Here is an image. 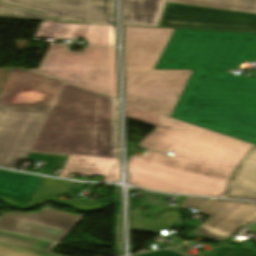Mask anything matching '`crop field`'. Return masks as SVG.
<instances>
[{
    "mask_svg": "<svg viewBox=\"0 0 256 256\" xmlns=\"http://www.w3.org/2000/svg\"><path fill=\"white\" fill-rule=\"evenodd\" d=\"M41 177L0 170V195L29 201Z\"/></svg>",
    "mask_w": 256,
    "mask_h": 256,
    "instance_id": "obj_18",
    "label": "crop field"
},
{
    "mask_svg": "<svg viewBox=\"0 0 256 256\" xmlns=\"http://www.w3.org/2000/svg\"><path fill=\"white\" fill-rule=\"evenodd\" d=\"M82 217L52 208L34 213L10 212L0 216V229L60 242Z\"/></svg>",
    "mask_w": 256,
    "mask_h": 256,
    "instance_id": "obj_9",
    "label": "crop field"
},
{
    "mask_svg": "<svg viewBox=\"0 0 256 256\" xmlns=\"http://www.w3.org/2000/svg\"><path fill=\"white\" fill-rule=\"evenodd\" d=\"M174 30L124 27L127 103L170 116L192 70H153Z\"/></svg>",
    "mask_w": 256,
    "mask_h": 256,
    "instance_id": "obj_4",
    "label": "crop field"
},
{
    "mask_svg": "<svg viewBox=\"0 0 256 256\" xmlns=\"http://www.w3.org/2000/svg\"><path fill=\"white\" fill-rule=\"evenodd\" d=\"M126 117L156 127L130 156L128 183L155 191L223 197L229 174L252 145L126 103Z\"/></svg>",
    "mask_w": 256,
    "mask_h": 256,
    "instance_id": "obj_2",
    "label": "crop field"
},
{
    "mask_svg": "<svg viewBox=\"0 0 256 256\" xmlns=\"http://www.w3.org/2000/svg\"><path fill=\"white\" fill-rule=\"evenodd\" d=\"M68 50L67 44L50 45L38 69L29 71L117 99L115 48Z\"/></svg>",
    "mask_w": 256,
    "mask_h": 256,
    "instance_id": "obj_5",
    "label": "crop field"
},
{
    "mask_svg": "<svg viewBox=\"0 0 256 256\" xmlns=\"http://www.w3.org/2000/svg\"><path fill=\"white\" fill-rule=\"evenodd\" d=\"M68 186L69 182L67 181L43 178L34 195L32 196L30 200L31 204L29 206L37 205L48 199L56 200L61 204L70 205L79 211H93L103 206L101 203L96 201L78 199H74L72 201H63L56 199L57 195L66 192Z\"/></svg>",
    "mask_w": 256,
    "mask_h": 256,
    "instance_id": "obj_17",
    "label": "crop field"
},
{
    "mask_svg": "<svg viewBox=\"0 0 256 256\" xmlns=\"http://www.w3.org/2000/svg\"><path fill=\"white\" fill-rule=\"evenodd\" d=\"M19 7L90 23L115 24L114 0H0Z\"/></svg>",
    "mask_w": 256,
    "mask_h": 256,
    "instance_id": "obj_10",
    "label": "crop field"
},
{
    "mask_svg": "<svg viewBox=\"0 0 256 256\" xmlns=\"http://www.w3.org/2000/svg\"><path fill=\"white\" fill-rule=\"evenodd\" d=\"M30 152L119 158L117 100L64 83Z\"/></svg>",
    "mask_w": 256,
    "mask_h": 256,
    "instance_id": "obj_3",
    "label": "crop field"
},
{
    "mask_svg": "<svg viewBox=\"0 0 256 256\" xmlns=\"http://www.w3.org/2000/svg\"><path fill=\"white\" fill-rule=\"evenodd\" d=\"M70 172L105 176L103 181H119V159L69 156L59 177L68 178Z\"/></svg>",
    "mask_w": 256,
    "mask_h": 256,
    "instance_id": "obj_14",
    "label": "crop field"
},
{
    "mask_svg": "<svg viewBox=\"0 0 256 256\" xmlns=\"http://www.w3.org/2000/svg\"><path fill=\"white\" fill-rule=\"evenodd\" d=\"M63 83L23 69H11L0 106L51 108Z\"/></svg>",
    "mask_w": 256,
    "mask_h": 256,
    "instance_id": "obj_8",
    "label": "crop field"
},
{
    "mask_svg": "<svg viewBox=\"0 0 256 256\" xmlns=\"http://www.w3.org/2000/svg\"><path fill=\"white\" fill-rule=\"evenodd\" d=\"M170 2L256 13V0H167Z\"/></svg>",
    "mask_w": 256,
    "mask_h": 256,
    "instance_id": "obj_19",
    "label": "crop field"
},
{
    "mask_svg": "<svg viewBox=\"0 0 256 256\" xmlns=\"http://www.w3.org/2000/svg\"><path fill=\"white\" fill-rule=\"evenodd\" d=\"M199 214L211 217L193 234L226 240L244 225L256 221V203L215 199Z\"/></svg>",
    "mask_w": 256,
    "mask_h": 256,
    "instance_id": "obj_11",
    "label": "crop field"
},
{
    "mask_svg": "<svg viewBox=\"0 0 256 256\" xmlns=\"http://www.w3.org/2000/svg\"><path fill=\"white\" fill-rule=\"evenodd\" d=\"M50 109L0 107V166L26 160Z\"/></svg>",
    "mask_w": 256,
    "mask_h": 256,
    "instance_id": "obj_6",
    "label": "crop field"
},
{
    "mask_svg": "<svg viewBox=\"0 0 256 256\" xmlns=\"http://www.w3.org/2000/svg\"><path fill=\"white\" fill-rule=\"evenodd\" d=\"M34 37L85 38L88 45L115 46L114 26L41 22Z\"/></svg>",
    "mask_w": 256,
    "mask_h": 256,
    "instance_id": "obj_12",
    "label": "crop field"
},
{
    "mask_svg": "<svg viewBox=\"0 0 256 256\" xmlns=\"http://www.w3.org/2000/svg\"><path fill=\"white\" fill-rule=\"evenodd\" d=\"M57 244L0 232V256H62L49 252Z\"/></svg>",
    "mask_w": 256,
    "mask_h": 256,
    "instance_id": "obj_16",
    "label": "crop field"
},
{
    "mask_svg": "<svg viewBox=\"0 0 256 256\" xmlns=\"http://www.w3.org/2000/svg\"><path fill=\"white\" fill-rule=\"evenodd\" d=\"M166 0H122L124 25L157 27Z\"/></svg>",
    "mask_w": 256,
    "mask_h": 256,
    "instance_id": "obj_15",
    "label": "crop field"
},
{
    "mask_svg": "<svg viewBox=\"0 0 256 256\" xmlns=\"http://www.w3.org/2000/svg\"><path fill=\"white\" fill-rule=\"evenodd\" d=\"M256 62V34L175 30L155 69H194L171 118L256 145V78L233 76Z\"/></svg>",
    "mask_w": 256,
    "mask_h": 256,
    "instance_id": "obj_1",
    "label": "crop field"
},
{
    "mask_svg": "<svg viewBox=\"0 0 256 256\" xmlns=\"http://www.w3.org/2000/svg\"><path fill=\"white\" fill-rule=\"evenodd\" d=\"M158 27L256 32V14L167 2Z\"/></svg>",
    "mask_w": 256,
    "mask_h": 256,
    "instance_id": "obj_7",
    "label": "crop field"
},
{
    "mask_svg": "<svg viewBox=\"0 0 256 256\" xmlns=\"http://www.w3.org/2000/svg\"><path fill=\"white\" fill-rule=\"evenodd\" d=\"M210 199L206 198H194L187 197L186 200L181 204L182 208H192L199 210L204 204H206Z\"/></svg>",
    "mask_w": 256,
    "mask_h": 256,
    "instance_id": "obj_22",
    "label": "crop field"
},
{
    "mask_svg": "<svg viewBox=\"0 0 256 256\" xmlns=\"http://www.w3.org/2000/svg\"><path fill=\"white\" fill-rule=\"evenodd\" d=\"M0 200L9 204V205L16 206V207H19V208L26 207V205L28 203L26 201L16 200V199L2 197V196H0Z\"/></svg>",
    "mask_w": 256,
    "mask_h": 256,
    "instance_id": "obj_24",
    "label": "crop field"
},
{
    "mask_svg": "<svg viewBox=\"0 0 256 256\" xmlns=\"http://www.w3.org/2000/svg\"><path fill=\"white\" fill-rule=\"evenodd\" d=\"M246 244L239 249L232 250L227 248L225 243H220L212 256H256V253L250 250L252 243H248L250 244L249 246Z\"/></svg>",
    "mask_w": 256,
    "mask_h": 256,
    "instance_id": "obj_21",
    "label": "crop field"
},
{
    "mask_svg": "<svg viewBox=\"0 0 256 256\" xmlns=\"http://www.w3.org/2000/svg\"><path fill=\"white\" fill-rule=\"evenodd\" d=\"M224 197L256 200V146L231 173Z\"/></svg>",
    "mask_w": 256,
    "mask_h": 256,
    "instance_id": "obj_13",
    "label": "crop field"
},
{
    "mask_svg": "<svg viewBox=\"0 0 256 256\" xmlns=\"http://www.w3.org/2000/svg\"><path fill=\"white\" fill-rule=\"evenodd\" d=\"M0 18L7 19H27V20H48V21H68L41 13L29 11L15 6L0 3ZM72 22V21H68Z\"/></svg>",
    "mask_w": 256,
    "mask_h": 256,
    "instance_id": "obj_20",
    "label": "crop field"
},
{
    "mask_svg": "<svg viewBox=\"0 0 256 256\" xmlns=\"http://www.w3.org/2000/svg\"><path fill=\"white\" fill-rule=\"evenodd\" d=\"M133 256H182V255H180L172 250L166 249V250H162V251L138 254V255H133Z\"/></svg>",
    "mask_w": 256,
    "mask_h": 256,
    "instance_id": "obj_23",
    "label": "crop field"
}]
</instances>
